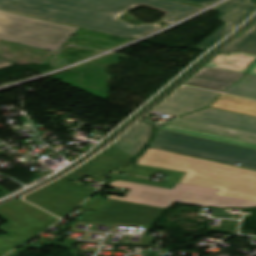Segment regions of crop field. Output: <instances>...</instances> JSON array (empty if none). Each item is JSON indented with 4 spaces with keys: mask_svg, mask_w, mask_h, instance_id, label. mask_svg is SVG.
I'll list each match as a JSON object with an SVG mask.
<instances>
[{
    "mask_svg": "<svg viewBox=\"0 0 256 256\" xmlns=\"http://www.w3.org/2000/svg\"><path fill=\"white\" fill-rule=\"evenodd\" d=\"M162 130H167V131L181 133V134L190 135V136H195V137H199V138H204V139H209V140L219 141V142H223V143H228V144H233V145L256 149V144H254V143L240 141V140L231 139V138H226V137L217 136V135H212V134H208V133H203V132H199V131H195V130H191V129H187V128H183V127H179V126H174V125H170V124L165 125L162 128Z\"/></svg>",
    "mask_w": 256,
    "mask_h": 256,
    "instance_id": "20",
    "label": "crop field"
},
{
    "mask_svg": "<svg viewBox=\"0 0 256 256\" xmlns=\"http://www.w3.org/2000/svg\"><path fill=\"white\" fill-rule=\"evenodd\" d=\"M178 1H183V2H188V3H193V4L206 6V5L212 3L216 0H178Z\"/></svg>",
    "mask_w": 256,
    "mask_h": 256,
    "instance_id": "23",
    "label": "crop field"
},
{
    "mask_svg": "<svg viewBox=\"0 0 256 256\" xmlns=\"http://www.w3.org/2000/svg\"><path fill=\"white\" fill-rule=\"evenodd\" d=\"M211 107L256 116V102L220 94Z\"/></svg>",
    "mask_w": 256,
    "mask_h": 256,
    "instance_id": "18",
    "label": "crop field"
},
{
    "mask_svg": "<svg viewBox=\"0 0 256 256\" xmlns=\"http://www.w3.org/2000/svg\"><path fill=\"white\" fill-rule=\"evenodd\" d=\"M218 94L190 87H182L155 111L180 116L209 106Z\"/></svg>",
    "mask_w": 256,
    "mask_h": 256,
    "instance_id": "10",
    "label": "crop field"
},
{
    "mask_svg": "<svg viewBox=\"0 0 256 256\" xmlns=\"http://www.w3.org/2000/svg\"><path fill=\"white\" fill-rule=\"evenodd\" d=\"M247 74L256 76V61L249 67Z\"/></svg>",
    "mask_w": 256,
    "mask_h": 256,
    "instance_id": "25",
    "label": "crop field"
},
{
    "mask_svg": "<svg viewBox=\"0 0 256 256\" xmlns=\"http://www.w3.org/2000/svg\"><path fill=\"white\" fill-rule=\"evenodd\" d=\"M224 93L256 100V77L245 75L239 83L233 85Z\"/></svg>",
    "mask_w": 256,
    "mask_h": 256,
    "instance_id": "21",
    "label": "crop field"
},
{
    "mask_svg": "<svg viewBox=\"0 0 256 256\" xmlns=\"http://www.w3.org/2000/svg\"><path fill=\"white\" fill-rule=\"evenodd\" d=\"M76 29L0 10V39L3 40L56 52Z\"/></svg>",
    "mask_w": 256,
    "mask_h": 256,
    "instance_id": "4",
    "label": "crop field"
},
{
    "mask_svg": "<svg viewBox=\"0 0 256 256\" xmlns=\"http://www.w3.org/2000/svg\"><path fill=\"white\" fill-rule=\"evenodd\" d=\"M98 198H100V196L99 195H96V196H94V198H91V199H89V200H87L85 203H83L81 206H86V205H88L90 202H92V201H94V200H96V199H98Z\"/></svg>",
    "mask_w": 256,
    "mask_h": 256,
    "instance_id": "27",
    "label": "crop field"
},
{
    "mask_svg": "<svg viewBox=\"0 0 256 256\" xmlns=\"http://www.w3.org/2000/svg\"><path fill=\"white\" fill-rule=\"evenodd\" d=\"M10 65H14V64L0 58V68H4V67L10 66Z\"/></svg>",
    "mask_w": 256,
    "mask_h": 256,
    "instance_id": "26",
    "label": "crop field"
},
{
    "mask_svg": "<svg viewBox=\"0 0 256 256\" xmlns=\"http://www.w3.org/2000/svg\"><path fill=\"white\" fill-rule=\"evenodd\" d=\"M213 10L221 12L218 18L224 25L197 46L198 49L206 50L228 35L256 10V0H231Z\"/></svg>",
    "mask_w": 256,
    "mask_h": 256,
    "instance_id": "9",
    "label": "crop field"
},
{
    "mask_svg": "<svg viewBox=\"0 0 256 256\" xmlns=\"http://www.w3.org/2000/svg\"><path fill=\"white\" fill-rule=\"evenodd\" d=\"M167 121H168V120H163L162 122L159 121V122H157V123H154V122L142 120L141 122L148 123V124L153 125V126L161 127V126L164 125Z\"/></svg>",
    "mask_w": 256,
    "mask_h": 256,
    "instance_id": "24",
    "label": "crop field"
},
{
    "mask_svg": "<svg viewBox=\"0 0 256 256\" xmlns=\"http://www.w3.org/2000/svg\"><path fill=\"white\" fill-rule=\"evenodd\" d=\"M93 192L64 178L25 197L41 208L63 217Z\"/></svg>",
    "mask_w": 256,
    "mask_h": 256,
    "instance_id": "7",
    "label": "crop field"
},
{
    "mask_svg": "<svg viewBox=\"0 0 256 256\" xmlns=\"http://www.w3.org/2000/svg\"><path fill=\"white\" fill-rule=\"evenodd\" d=\"M132 167H134V164H131V165H129V166H127V167H125V168H123V169L117 171V172H125V171L131 169Z\"/></svg>",
    "mask_w": 256,
    "mask_h": 256,
    "instance_id": "28",
    "label": "crop field"
},
{
    "mask_svg": "<svg viewBox=\"0 0 256 256\" xmlns=\"http://www.w3.org/2000/svg\"><path fill=\"white\" fill-rule=\"evenodd\" d=\"M0 217L7 222L0 226V230L6 233L0 236V256L45 227L14 201L0 206Z\"/></svg>",
    "mask_w": 256,
    "mask_h": 256,
    "instance_id": "8",
    "label": "crop field"
},
{
    "mask_svg": "<svg viewBox=\"0 0 256 256\" xmlns=\"http://www.w3.org/2000/svg\"><path fill=\"white\" fill-rule=\"evenodd\" d=\"M109 186L130 189L124 197L106 195V198L161 208L174 201L215 207H256V203L214 196L216 189L177 183L172 190L115 180Z\"/></svg>",
    "mask_w": 256,
    "mask_h": 256,
    "instance_id": "3",
    "label": "crop field"
},
{
    "mask_svg": "<svg viewBox=\"0 0 256 256\" xmlns=\"http://www.w3.org/2000/svg\"><path fill=\"white\" fill-rule=\"evenodd\" d=\"M168 151L256 170V150L157 130L149 145Z\"/></svg>",
    "mask_w": 256,
    "mask_h": 256,
    "instance_id": "5",
    "label": "crop field"
},
{
    "mask_svg": "<svg viewBox=\"0 0 256 256\" xmlns=\"http://www.w3.org/2000/svg\"><path fill=\"white\" fill-rule=\"evenodd\" d=\"M256 55L234 52L232 54H218L216 58L207 64V67L245 73L249 63ZM253 62V61H252Z\"/></svg>",
    "mask_w": 256,
    "mask_h": 256,
    "instance_id": "17",
    "label": "crop field"
},
{
    "mask_svg": "<svg viewBox=\"0 0 256 256\" xmlns=\"http://www.w3.org/2000/svg\"><path fill=\"white\" fill-rule=\"evenodd\" d=\"M182 118L198 120L256 133V117L232 113L215 108H205Z\"/></svg>",
    "mask_w": 256,
    "mask_h": 256,
    "instance_id": "12",
    "label": "crop field"
},
{
    "mask_svg": "<svg viewBox=\"0 0 256 256\" xmlns=\"http://www.w3.org/2000/svg\"><path fill=\"white\" fill-rule=\"evenodd\" d=\"M234 51L256 54V23L240 37L235 38L230 44L220 50L221 53Z\"/></svg>",
    "mask_w": 256,
    "mask_h": 256,
    "instance_id": "19",
    "label": "crop field"
},
{
    "mask_svg": "<svg viewBox=\"0 0 256 256\" xmlns=\"http://www.w3.org/2000/svg\"><path fill=\"white\" fill-rule=\"evenodd\" d=\"M151 133V126L138 123L112 146L134 158L147 143Z\"/></svg>",
    "mask_w": 256,
    "mask_h": 256,
    "instance_id": "14",
    "label": "crop field"
},
{
    "mask_svg": "<svg viewBox=\"0 0 256 256\" xmlns=\"http://www.w3.org/2000/svg\"><path fill=\"white\" fill-rule=\"evenodd\" d=\"M104 202L102 198L89 204L88 209H97ZM164 209L108 199L95 212H87L79 220L125 223L149 226L161 215Z\"/></svg>",
    "mask_w": 256,
    "mask_h": 256,
    "instance_id": "6",
    "label": "crop field"
},
{
    "mask_svg": "<svg viewBox=\"0 0 256 256\" xmlns=\"http://www.w3.org/2000/svg\"><path fill=\"white\" fill-rule=\"evenodd\" d=\"M118 175H119V174H117V173H113V174L109 175V176L106 177V178L114 179V178L117 177Z\"/></svg>",
    "mask_w": 256,
    "mask_h": 256,
    "instance_id": "29",
    "label": "crop field"
},
{
    "mask_svg": "<svg viewBox=\"0 0 256 256\" xmlns=\"http://www.w3.org/2000/svg\"><path fill=\"white\" fill-rule=\"evenodd\" d=\"M135 5L165 12L162 20L169 24L200 9L167 0H0V9L6 11L126 38L140 37L159 29L156 23L134 26L115 20Z\"/></svg>",
    "mask_w": 256,
    "mask_h": 256,
    "instance_id": "1",
    "label": "crop field"
},
{
    "mask_svg": "<svg viewBox=\"0 0 256 256\" xmlns=\"http://www.w3.org/2000/svg\"><path fill=\"white\" fill-rule=\"evenodd\" d=\"M244 74L228 72L204 67L186 84L221 92L233 83L239 81Z\"/></svg>",
    "mask_w": 256,
    "mask_h": 256,
    "instance_id": "13",
    "label": "crop field"
},
{
    "mask_svg": "<svg viewBox=\"0 0 256 256\" xmlns=\"http://www.w3.org/2000/svg\"><path fill=\"white\" fill-rule=\"evenodd\" d=\"M20 206H22L25 210H27L31 215H33L36 219H38L41 223L44 225L48 226L51 223L55 222L58 220V218L26 203L20 200H15Z\"/></svg>",
    "mask_w": 256,
    "mask_h": 256,
    "instance_id": "22",
    "label": "crop field"
},
{
    "mask_svg": "<svg viewBox=\"0 0 256 256\" xmlns=\"http://www.w3.org/2000/svg\"><path fill=\"white\" fill-rule=\"evenodd\" d=\"M137 165L185 172L180 183L219 189L216 195L256 202V172L147 148Z\"/></svg>",
    "mask_w": 256,
    "mask_h": 256,
    "instance_id": "2",
    "label": "crop field"
},
{
    "mask_svg": "<svg viewBox=\"0 0 256 256\" xmlns=\"http://www.w3.org/2000/svg\"><path fill=\"white\" fill-rule=\"evenodd\" d=\"M132 159L133 158L111 146L64 178L73 181L88 175L101 182L103 176L108 173L109 170H114Z\"/></svg>",
    "mask_w": 256,
    "mask_h": 256,
    "instance_id": "11",
    "label": "crop field"
},
{
    "mask_svg": "<svg viewBox=\"0 0 256 256\" xmlns=\"http://www.w3.org/2000/svg\"><path fill=\"white\" fill-rule=\"evenodd\" d=\"M169 123L212 133V134L222 135L226 137H231V138H236V139L256 143V134L238 131V130H234L226 127L213 125V124L192 121V120H187L182 118H177L175 120L170 121Z\"/></svg>",
    "mask_w": 256,
    "mask_h": 256,
    "instance_id": "15",
    "label": "crop field"
},
{
    "mask_svg": "<svg viewBox=\"0 0 256 256\" xmlns=\"http://www.w3.org/2000/svg\"><path fill=\"white\" fill-rule=\"evenodd\" d=\"M157 172L165 174L167 180L165 181L164 184L152 182V181H149L148 179L132 177L127 175H124L117 179L172 189L174 185L178 182V180L181 178V176L184 174L179 172L165 171V170L145 168V167H139V166H136L134 170L130 171L127 174L150 178Z\"/></svg>",
    "mask_w": 256,
    "mask_h": 256,
    "instance_id": "16",
    "label": "crop field"
}]
</instances>
